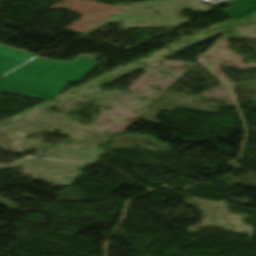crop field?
Returning <instances> with one entry per match:
<instances>
[{
    "label": "crop field",
    "instance_id": "obj_1",
    "mask_svg": "<svg viewBox=\"0 0 256 256\" xmlns=\"http://www.w3.org/2000/svg\"><path fill=\"white\" fill-rule=\"evenodd\" d=\"M98 56H82L73 63L37 58L0 79V92L52 102L68 81L77 82L97 66L94 60Z\"/></svg>",
    "mask_w": 256,
    "mask_h": 256
},
{
    "label": "crop field",
    "instance_id": "obj_2",
    "mask_svg": "<svg viewBox=\"0 0 256 256\" xmlns=\"http://www.w3.org/2000/svg\"><path fill=\"white\" fill-rule=\"evenodd\" d=\"M36 56L0 46V77L26 63Z\"/></svg>",
    "mask_w": 256,
    "mask_h": 256
},
{
    "label": "crop field",
    "instance_id": "obj_3",
    "mask_svg": "<svg viewBox=\"0 0 256 256\" xmlns=\"http://www.w3.org/2000/svg\"><path fill=\"white\" fill-rule=\"evenodd\" d=\"M225 2L232 7L222 10V12L235 21L256 12V0H230Z\"/></svg>",
    "mask_w": 256,
    "mask_h": 256
}]
</instances>
